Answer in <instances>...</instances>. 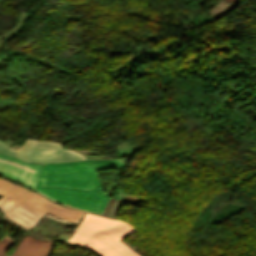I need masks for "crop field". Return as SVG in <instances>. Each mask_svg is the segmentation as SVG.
<instances>
[{"mask_svg":"<svg viewBox=\"0 0 256 256\" xmlns=\"http://www.w3.org/2000/svg\"><path fill=\"white\" fill-rule=\"evenodd\" d=\"M127 160H93L54 164L42 163V169L35 191L70 208L101 214L109 197L102 193L95 171L106 168L122 169ZM40 185L94 192L44 187Z\"/></svg>","mask_w":256,"mask_h":256,"instance_id":"1","label":"crop field"},{"mask_svg":"<svg viewBox=\"0 0 256 256\" xmlns=\"http://www.w3.org/2000/svg\"><path fill=\"white\" fill-rule=\"evenodd\" d=\"M40 164H31L21 161L11 155L0 153V174L12 177L26 187L34 188Z\"/></svg>","mask_w":256,"mask_h":256,"instance_id":"5","label":"crop field"},{"mask_svg":"<svg viewBox=\"0 0 256 256\" xmlns=\"http://www.w3.org/2000/svg\"><path fill=\"white\" fill-rule=\"evenodd\" d=\"M133 231L125 222L86 213L70 241L89 246L101 256H138L119 240Z\"/></svg>","mask_w":256,"mask_h":256,"instance_id":"2","label":"crop field"},{"mask_svg":"<svg viewBox=\"0 0 256 256\" xmlns=\"http://www.w3.org/2000/svg\"><path fill=\"white\" fill-rule=\"evenodd\" d=\"M0 152L13 154L26 161L64 162L85 159L84 156L69 150H61V144L48 141H37L27 138L19 150L0 142Z\"/></svg>","mask_w":256,"mask_h":256,"instance_id":"4","label":"crop field"},{"mask_svg":"<svg viewBox=\"0 0 256 256\" xmlns=\"http://www.w3.org/2000/svg\"><path fill=\"white\" fill-rule=\"evenodd\" d=\"M13 242L6 235L0 240V256H6L3 254ZM54 243L40 241L26 235L10 256H50Z\"/></svg>","mask_w":256,"mask_h":256,"instance_id":"6","label":"crop field"},{"mask_svg":"<svg viewBox=\"0 0 256 256\" xmlns=\"http://www.w3.org/2000/svg\"><path fill=\"white\" fill-rule=\"evenodd\" d=\"M5 195L0 199V203L8 197V199L0 204V208L6 213L5 216L8 218L16 221L17 223L30 228L32 227L38 220L39 217L29 213L28 211L20 208L19 206L39 215L43 216L46 212L59 217L61 219H68L71 221H74L78 223L80 217L84 212L68 209L66 207H63L61 205L55 204L53 202L48 201L44 197L31 192L29 190H26L24 188H21L19 186L12 185L8 182H5L0 179V195ZM19 203V204H18ZM16 204H18L14 209L8 212L9 209L13 208ZM16 210L26 214L27 216L33 218L34 220H31L19 213L16 212ZM14 214L21 219L29 222L30 224H26L19 219L11 216L10 214ZM82 218V217H81Z\"/></svg>","mask_w":256,"mask_h":256,"instance_id":"3","label":"crop field"}]
</instances>
